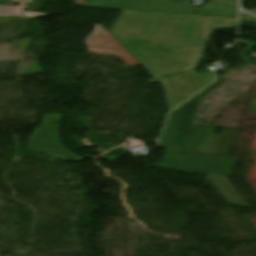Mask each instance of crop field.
I'll use <instances>...</instances> for the list:
<instances>
[{
	"mask_svg": "<svg viewBox=\"0 0 256 256\" xmlns=\"http://www.w3.org/2000/svg\"><path fill=\"white\" fill-rule=\"evenodd\" d=\"M241 21L256 23V18L250 15L241 13Z\"/></svg>",
	"mask_w": 256,
	"mask_h": 256,
	"instance_id": "crop-field-11",
	"label": "crop field"
},
{
	"mask_svg": "<svg viewBox=\"0 0 256 256\" xmlns=\"http://www.w3.org/2000/svg\"><path fill=\"white\" fill-rule=\"evenodd\" d=\"M213 130L178 125L169 150L228 156L237 131L223 130L219 137Z\"/></svg>",
	"mask_w": 256,
	"mask_h": 256,
	"instance_id": "crop-field-3",
	"label": "crop field"
},
{
	"mask_svg": "<svg viewBox=\"0 0 256 256\" xmlns=\"http://www.w3.org/2000/svg\"><path fill=\"white\" fill-rule=\"evenodd\" d=\"M207 175L213 181V183L218 187V189L222 192V194L225 196V198L228 200L229 203L244 205V206L248 205L246 201L241 197V195L236 191V189L232 186V184L227 180L226 177L209 175V174ZM220 180H222L225 185H223ZM227 189H229L230 192H228ZM233 196H235L236 198L234 199Z\"/></svg>",
	"mask_w": 256,
	"mask_h": 256,
	"instance_id": "crop-field-8",
	"label": "crop field"
},
{
	"mask_svg": "<svg viewBox=\"0 0 256 256\" xmlns=\"http://www.w3.org/2000/svg\"><path fill=\"white\" fill-rule=\"evenodd\" d=\"M237 159L169 151L162 168L230 176Z\"/></svg>",
	"mask_w": 256,
	"mask_h": 256,
	"instance_id": "crop-field-4",
	"label": "crop field"
},
{
	"mask_svg": "<svg viewBox=\"0 0 256 256\" xmlns=\"http://www.w3.org/2000/svg\"><path fill=\"white\" fill-rule=\"evenodd\" d=\"M191 0H91L85 6L112 7L131 10L176 12L236 18V11L214 2L200 8L190 7Z\"/></svg>",
	"mask_w": 256,
	"mask_h": 256,
	"instance_id": "crop-field-2",
	"label": "crop field"
},
{
	"mask_svg": "<svg viewBox=\"0 0 256 256\" xmlns=\"http://www.w3.org/2000/svg\"><path fill=\"white\" fill-rule=\"evenodd\" d=\"M248 11H251V12H254V13H256V9H253V10H248Z\"/></svg>",
	"mask_w": 256,
	"mask_h": 256,
	"instance_id": "crop-field-13",
	"label": "crop field"
},
{
	"mask_svg": "<svg viewBox=\"0 0 256 256\" xmlns=\"http://www.w3.org/2000/svg\"><path fill=\"white\" fill-rule=\"evenodd\" d=\"M221 83H223V82H221L219 80L216 81L214 84L209 86L207 89H205L200 94H198L196 97H194L192 100H190L188 103H186L178 124L189 125L198 99L201 98L202 96H204L205 94H207L208 92H210L212 89H214Z\"/></svg>",
	"mask_w": 256,
	"mask_h": 256,
	"instance_id": "crop-field-9",
	"label": "crop field"
},
{
	"mask_svg": "<svg viewBox=\"0 0 256 256\" xmlns=\"http://www.w3.org/2000/svg\"><path fill=\"white\" fill-rule=\"evenodd\" d=\"M61 124H54V114L44 116V124L35 130L28 149L63 159L65 161H82L60 145L58 132Z\"/></svg>",
	"mask_w": 256,
	"mask_h": 256,
	"instance_id": "crop-field-6",
	"label": "crop field"
},
{
	"mask_svg": "<svg viewBox=\"0 0 256 256\" xmlns=\"http://www.w3.org/2000/svg\"><path fill=\"white\" fill-rule=\"evenodd\" d=\"M214 80V74L196 75L195 70L148 80L149 83L161 82L168 101L169 110L178 106L186 98L201 90ZM187 100V99H186Z\"/></svg>",
	"mask_w": 256,
	"mask_h": 256,
	"instance_id": "crop-field-5",
	"label": "crop field"
},
{
	"mask_svg": "<svg viewBox=\"0 0 256 256\" xmlns=\"http://www.w3.org/2000/svg\"><path fill=\"white\" fill-rule=\"evenodd\" d=\"M236 24V19L204 16L201 45L197 49L184 48L182 72L196 68L214 29H232Z\"/></svg>",
	"mask_w": 256,
	"mask_h": 256,
	"instance_id": "crop-field-7",
	"label": "crop field"
},
{
	"mask_svg": "<svg viewBox=\"0 0 256 256\" xmlns=\"http://www.w3.org/2000/svg\"><path fill=\"white\" fill-rule=\"evenodd\" d=\"M202 18L122 10L110 34L156 78L181 72L183 47L200 44Z\"/></svg>",
	"mask_w": 256,
	"mask_h": 256,
	"instance_id": "crop-field-1",
	"label": "crop field"
},
{
	"mask_svg": "<svg viewBox=\"0 0 256 256\" xmlns=\"http://www.w3.org/2000/svg\"><path fill=\"white\" fill-rule=\"evenodd\" d=\"M183 107L184 105L171 113L159 146L165 147V148L169 147L175 128L177 126L180 115L182 113Z\"/></svg>",
	"mask_w": 256,
	"mask_h": 256,
	"instance_id": "crop-field-10",
	"label": "crop field"
},
{
	"mask_svg": "<svg viewBox=\"0 0 256 256\" xmlns=\"http://www.w3.org/2000/svg\"><path fill=\"white\" fill-rule=\"evenodd\" d=\"M216 1H219L221 3H224V4H227V5H230V6H233V7L237 8L238 0H216Z\"/></svg>",
	"mask_w": 256,
	"mask_h": 256,
	"instance_id": "crop-field-12",
	"label": "crop field"
}]
</instances>
